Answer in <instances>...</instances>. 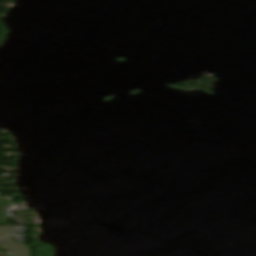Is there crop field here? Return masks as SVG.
<instances>
[{"label": "crop field", "mask_w": 256, "mask_h": 256, "mask_svg": "<svg viewBox=\"0 0 256 256\" xmlns=\"http://www.w3.org/2000/svg\"><path fill=\"white\" fill-rule=\"evenodd\" d=\"M0 249L8 251L10 256H30L27 245L15 243L10 237L0 239Z\"/></svg>", "instance_id": "1"}, {"label": "crop field", "mask_w": 256, "mask_h": 256, "mask_svg": "<svg viewBox=\"0 0 256 256\" xmlns=\"http://www.w3.org/2000/svg\"><path fill=\"white\" fill-rule=\"evenodd\" d=\"M13 233V227H3L0 228V237L1 236H5V235H9Z\"/></svg>", "instance_id": "2"}]
</instances>
